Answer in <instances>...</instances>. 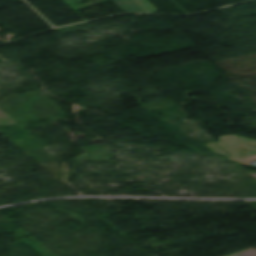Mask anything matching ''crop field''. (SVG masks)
Returning <instances> with one entry per match:
<instances>
[{
	"label": "crop field",
	"instance_id": "1",
	"mask_svg": "<svg viewBox=\"0 0 256 256\" xmlns=\"http://www.w3.org/2000/svg\"><path fill=\"white\" fill-rule=\"evenodd\" d=\"M206 145L215 153L224 155L225 157L244 165H250L252 162L256 161V140L237 137L236 135H227L220 137V142ZM221 148L225 151L223 152ZM243 148L245 150H243Z\"/></svg>",
	"mask_w": 256,
	"mask_h": 256
},
{
	"label": "crop field",
	"instance_id": "2",
	"mask_svg": "<svg viewBox=\"0 0 256 256\" xmlns=\"http://www.w3.org/2000/svg\"><path fill=\"white\" fill-rule=\"evenodd\" d=\"M124 12H146L134 0H112Z\"/></svg>",
	"mask_w": 256,
	"mask_h": 256
},
{
	"label": "crop field",
	"instance_id": "3",
	"mask_svg": "<svg viewBox=\"0 0 256 256\" xmlns=\"http://www.w3.org/2000/svg\"><path fill=\"white\" fill-rule=\"evenodd\" d=\"M135 1L149 13L158 11L148 0Z\"/></svg>",
	"mask_w": 256,
	"mask_h": 256
}]
</instances>
